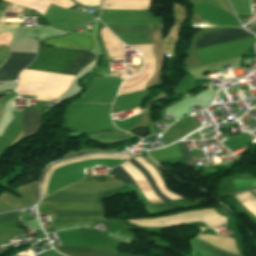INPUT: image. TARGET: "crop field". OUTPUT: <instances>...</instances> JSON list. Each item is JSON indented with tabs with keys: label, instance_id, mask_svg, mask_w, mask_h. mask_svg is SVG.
<instances>
[{
	"label": "crop field",
	"instance_id": "1",
	"mask_svg": "<svg viewBox=\"0 0 256 256\" xmlns=\"http://www.w3.org/2000/svg\"><path fill=\"white\" fill-rule=\"evenodd\" d=\"M253 35L245 32L242 28L213 31L201 36L197 42L196 49L212 46L228 41L244 39ZM255 37L228 42L212 47L198 49L197 54L203 65L245 55L248 49L254 45Z\"/></svg>",
	"mask_w": 256,
	"mask_h": 256
},
{
	"label": "crop field",
	"instance_id": "3",
	"mask_svg": "<svg viewBox=\"0 0 256 256\" xmlns=\"http://www.w3.org/2000/svg\"><path fill=\"white\" fill-rule=\"evenodd\" d=\"M110 107L70 105L64 114L63 127L85 130L116 129L111 123Z\"/></svg>",
	"mask_w": 256,
	"mask_h": 256
},
{
	"label": "crop field",
	"instance_id": "12",
	"mask_svg": "<svg viewBox=\"0 0 256 256\" xmlns=\"http://www.w3.org/2000/svg\"><path fill=\"white\" fill-rule=\"evenodd\" d=\"M17 216H18V211L12 212V213H7V214H1L0 215V223L17 222Z\"/></svg>",
	"mask_w": 256,
	"mask_h": 256
},
{
	"label": "crop field",
	"instance_id": "4",
	"mask_svg": "<svg viewBox=\"0 0 256 256\" xmlns=\"http://www.w3.org/2000/svg\"><path fill=\"white\" fill-rule=\"evenodd\" d=\"M96 193L90 194H77V193H66L57 191L51 196L42 200V202L56 201V202H67V203H95ZM55 209L58 210H97L102 209L100 204H66L56 203ZM103 211H57L55 210V217H83L102 215Z\"/></svg>",
	"mask_w": 256,
	"mask_h": 256
},
{
	"label": "crop field",
	"instance_id": "2",
	"mask_svg": "<svg viewBox=\"0 0 256 256\" xmlns=\"http://www.w3.org/2000/svg\"><path fill=\"white\" fill-rule=\"evenodd\" d=\"M79 53L77 50L40 46L37 59L26 69L65 74ZM95 58L94 54L81 51L66 74L77 76L80 70Z\"/></svg>",
	"mask_w": 256,
	"mask_h": 256
},
{
	"label": "crop field",
	"instance_id": "10",
	"mask_svg": "<svg viewBox=\"0 0 256 256\" xmlns=\"http://www.w3.org/2000/svg\"><path fill=\"white\" fill-rule=\"evenodd\" d=\"M149 154L154 160L182 156L177 144L166 149L150 151Z\"/></svg>",
	"mask_w": 256,
	"mask_h": 256
},
{
	"label": "crop field",
	"instance_id": "5",
	"mask_svg": "<svg viewBox=\"0 0 256 256\" xmlns=\"http://www.w3.org/2000/svg\"><path fill=\"white\" fill-rule=\"evenodd\" d=\"M104 23H162L150 11L104 10L101 17Z\"/></svg>",
	"mask_w": 256,
	"mask_h": 256
},
{
	"label": "crop field",
	"instance_id": "6",
	"mask_svg": "<svg viewBox=\"0 0 256 256\" xmlns=\"http://www.w3.org/2000/svg\"><path fill=\"white\" fill-rule=\"evenodd\" d=\"M34 56L35 54L11 53L9 60L0 68V81L16 80L17 71H20L30 64Z\"/></svg>",
	"mask_w": 256,
	"mask_h": 256
},
{
	"label": "crop field",
	"instance_id": "11",
	"mask_svg": "<svg viewBox=\"0 0 256 256\" xmlns=\"http://www.w3.org/2000/svg\"><path fill=\"white\" fill-rule=\"evenodd\" d=\"M180 148H181V151H182V155L187 163L188 166H196L193 159H192V156L190 154V151L187 147V143H180L179 144Z\"/></svg>",
	"mask_w": 256,
	"mask_h": 256
},
{
	"label": "crop field",
	"instance_id": "7",
	"mask_svg": "<svg viewBox=\"0 0 256 256\" xmlns=\"http://www.w3.org/2000/svg\"><path fill=\"white\" fill-rule=\"evenodd\" d=\"M43 43L50 46H58L64 48H77L90 51L93 47L91 36L77 35V34H63L46 38Z\"/></svg>",
	"mask_w": 256,
	"mask_h": 256
},
{
	"label": "crop field",
	"instance_id": "8",
	"mask_svg": "<svg viewBox=\"0 0 256 256\" xmlns=\"http://www.w3.org/2000/svg\"><path fill=\"white\" fill-rule=\"evenodd\" d=\"M133 165H135L141 172L142 174L145 176V178L148 180V182L150 183V186L152 188V190L154 191V193L160 198L162 199L164 202L167 201H171L169 198L165 197L163 195V193L158 189L155 181L152 179V177L149 175V173L147 172V170L140 165L137 161H135L133 158L131 160H129ZM112 174L114 176H116L118 179L124 181L125 183H131V182H135L133 180V178L129 175L128 172H126L124 169H122L120 166L112 169Z\"/></svg>",
	"mask_w": 256,
	"mask_h": 256
},
{
	"label": "crop field",
	"instance_id": "9",
	"mask_svg": "<svg viewBox=\"0 0 256 256\" xmlns=\"http://www.w3.org/2000/svg\"><path fill=\"white\" fill-rule=\"evenodd\" d=\"M23 115L26 128V135L28 138L30 136L35 135L40 129L41 119L43 115L30 108L23 111Z\"/></svg>",
	"mask_w": 256,
	"mask_h": 256
}]
</instances>
